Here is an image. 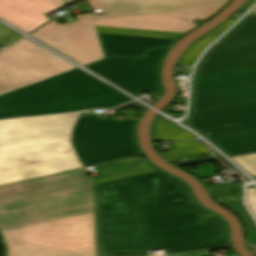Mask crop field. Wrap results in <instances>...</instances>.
<instances>
[{
	"mask_svg": "<svg viewBox=\"0 0 256 256\" xmlns=\"http://www.w3.org/2000/svg\"><path fill=\"white\" fill-rule=\"evenodd\" d=\"M191 98L185 125L229 157L256 153V15H246L207 50Z\"/></svg>",
	"mask_w": 256,
	"mask_h": 256,
	"instance_id": "crop-field-2",
	"label": "crop field"
},
{
	"mask_svg": "<svg viewBox=\"0 0 256 256\" xmlns=\"http://www.w3.org/2000/svg\"><path fill=\"white\" fill-rule=\"evenodd\" d=\"M99 256H145L223 246L222 221L190 198L180 181L158 171L95 185Z\"/></svg>",
	"mask_w": 256,
	"mask_h": 256,
	"instance_id": "crop-field-1",
	"label": "crop field"
},
{
	"mask_svg": "<svg viewBox=\"0 0 256 256\" xmlns=\"http://www.w3.org/2000/svg\"><path fill=\"white\" fill-rule=\"evenodd\" d=\"M190 132L178 127L170 121H155L153 126V141L170 139L178 141L195 138Z\"/></svg>",
	"mask_w": 256,
	"mask_h": 256,
	"instance_id": "crop-field-13",
	"label": "crop field"
},
{
	"mask_svg": "<svg viewBox=\"0 0 256 256\" xmlns=\"http://www.w3.org/2000/svg\"><path fill=\"white\" fill-rule=\"evenodd\" d=\"M65 1H66L67 4H69V3H71V2H73L75 0H65Z\"/></svg>",
	"mask_w": 256,
	"mask_h": 256,
	"instance_id": "crop-field-26",
	"label": "crop field"
},
{
	"mask_svg": "<svg viewBox=\"0 0 256 256\" xmlns=\"http://www.w3.org/2000/svg\"><path fill=\"white\" fill-rule=\"evenodd\" d=\"M83 168L0 186V204L91 185Z\"/></svg>",
	"mask_w": 256,
	"mask_h": 256,
	"instance_id": "crop-field-10",
	"label": "crop field"
},
{
	"mask_svg": "<svg viewBox=\"0 0 256 256\" xmlns=\"http://www.w3.org/2000/svg\"><path fill=\"white\" fill-rule=\"evenodd\" d=\"M252 176H256V154L231 158Z\"/></svg>",
	"mask_w": 256,
	"mask_h": 256,
	"instance_id": "crop-field-19",
	"label": "crop field"
},
{
	"mask_svg": "<svg viewBox=\"0 0 256 256\" xmlns=\"http://www.w3.org/2000/svg\"><path fill=\"white\" fill-rule=\"evenodd\" d=\"M158 170L159 169H157L152 164L147 163V164L140 165L136 168H131V169L125 171L123 174L113 175V176H109L107 178H102V179H95L94 180V185L98 184V183H103V182H108V181H112V180L127 178V177H131V176H136V175H140V174H145V173H149V172L158 171Z\"/></svg>",
	"mask_w": 256,
	"mask_h": 256,
	"instance_id": "crop-field-16",
	"label": "crop field"
},
{
	"mask_svg": "<svg viewBox=\"0 0 256 256\" xmlns=\"http://www.w3.org/2000/svg\"><path fill=\"white\" fill-rule=\"evenodd\" d=\"M248 205L256 217V191L247 192Z\"/></svg>",
	"mask_w": 256,
	"mask_h": 256,
	"instance_id": "crop-field-22",
	"label": "crop field"
},
{
	"mask_svg": "<svg viewBox=\"0 0 256 256\" xmlns=\"http://www.w3.org/2000/svg\"><path fill=\"white\" fill-rule=\"evenodd\" d=\"M76 68L23 38L0 52V95Z\"/></svg>",
	"mask_w": 256,
	"mask_h": 256,
	"instance_id": "crop-field-8",
	"label": "crop field"
},
{
	"mask_svg": "<svg viewBox=\"0 0 256 256\" xmlns=\"http://www.w3.org/2000/svg\"><path fill=\"white\" fill-rule=\"evenodd\" d=\"M209 190L211 189H223V188H232L231 184H224V185H212L208 186Z\"/></svg>",
	"mask_w": 256,
	"mask_h": 256,
	"instance_id": "crop-field-23",
	"label": "crop field"
},
{
	"mask_svg": "<svg viewBox=\"0 0 256 256\" xmlns=\"http://www.w3.org/2000/svg\"><path fill=\"white\" fill-rule=\"evenodd\" d=\"M104 55L141 57L148 49L171 46L176 40L97 33Z\"/></svg>",
	"mask_w": 256,
	"mask_h": 256,
	"instance_id": "crop-field-12",
	"label": "crop field"
},
{
	"mask_svg": "<svg viewBox=\"0 0 256 256\" xmlns=\"http://www.w3.org/2000/svg\"><path fill=\"white\" fill-rule=\"evenodd\" d=\"M21 38V35L0 24V47L9 45Z\"/></svg>",
	"mask_w": 256,
	"mask_h": 256,
	"instance_id": "crop-field-20",
	"label": "crop field"
},
{
	"mask_svg": "<svg viewBox=\"0 0 256 256\" xmlns=\"http://www.w3.org/2000/svg\"><path fill=\"white\" fill-rule=\"evenodd\" d=\"M168 49L150 50L141 59L107 57L87 68L136 96L142 91H162L158 69Z\"/></svg>",
	"mask_w": 256,
	"mask_h": 256,
	"instance_id": "crop-field-9",
	"label": "crop field"
},
{
	"mask_svg": "<svg viewBox=\"0 0 256 256\" xmlns=\"http://www.w3.org/2000/svg\"><path fill=\"white\" fill-rule=\"evenodd\" d=\"M236 20L230 19L215 30L211 31L207 35L203 36V38H206L208 40L213 41L215 38H217L223 31H225L232 23H234Z\"/></svg>",
	"mask_w": 256,
	"mask_h": 256,
	"instance_id": "crop-field-21",
	"label": "crop field"
},
{
	"mask_svg": "<svg viewBox=\"0 0 256 256\" xmlns=\"http://www.w3.org/2000/svg\"><path fill=\"white\" fill-rule=\"evenodd\" d=\"M255 2H256V0H249L247 5L240 11L246 12Z\"/></svg>",
	"mask_w": 256,
	"mask_h": 256,
	"instance_id": "crop-field-24",
	"label": "crop field"
},
{
	"mask_svg": "<svg viewBox=\"0 0 256 256\" xmlns=\"http://www.w3.org/2000/svg\"><path fill=\"white\" fill-rule=\"evenodd\" d=\"M251 12H254V13H256V7L251 11Z\"/></svg>",
	"mask_w": 256,
	"mask_h": 256,
	"instance_id": "crop-field-28",
	"label": "crop field"
},
{
	"mask_svg": "<svg viewBox=\"0 0 256 256\" xmlns=\"http://www.w3.org/2000/svg\"><path fill=\"white\" fill-rule=\"evenodd\" d=\"M132 98L76 68L0 96V119L113 108Z\"/></svg>",
	"mask_w": 256,
	"mask_h": 256,
	"instance_id": "crop-field-6",
	"label": "crop field"
},
{
	"mask_svg": "<svg viewBox=\"0 0 256 256\" xmlns=\"http://www.w3.org/2000/svg\"><path fill=\"white\" fill-rule=\"evenodd\" d=\"M136 121L79 116L72 145L84 166L139 155L134 137Z\"/></svg>",
	"mask_w": 256,
	"mask_h": 256,
	"instance_id": "crop-field-7",
	"label": "crop field"
},
{
	"mask_svg": "<svg viewBox=\"0 0 256 256\" xmlns=\"http://www.w3.org/2000/svg\"><path fill=\"white\" fill-rule=\"evenodd\" d=\"M76 115L0 121V185L80 168L69 145Z\"/></svg>",
	"mask_w": 256,
	"mask_h": 256,
	"instance_id": "crop-field-5",
	"label": "crop field"
},
{
	"mask_svg": "<svg viewBox=\"0 0 256 256\" xmlns=\"http://www.w3.org/2000/svg\"><path fill=\"white\" fill-rule=\"evenodd\" d=\"M65 5L64 0H0V19L28 33L48 20L43 14Z\"/></svg>",
	"mask_w": 256,
	"mask_h": 256,
	"instance_id": "crop-field-11",
	"label": "crop field"
},
{
	"mask_svg": "<svg viewBox=\"0 0 256 256\" xmlns=\"http://www.w3.org/2000/svg\"><path fill=\"white\" fill-rule=\"evenodd\" d=\"M133 165H135V163H133L132 161H121V162H113V163H108L103 165H97L96 167L98 168L101 176L104 177L112 174L122 173L127 168Z\"/></svg>",
	"mask_w": 256,
	"mask_h": 256,
	"instance_id": "crop-field-18",
	"label": "crop field"
},
{
	"mask_svg": "<svg viewBox=\"0 0 256 256\" xmlns=\"http://www.w3.org/2000/svg\"><path fill=\"white\" fill-rule=\"evenodd\" d=\"M252 190H256V188L248 189L247 191H252Z\"/></svg>",
	"mask_w": 256,
	"mask_h": 256,
	"instance_id": "crop-field-27",
	"label": "crop field"
},
{
	"mask_svg": "<svg viewBox=\"0 0 256 256\" xmlns=\"http://www.w3.org/2000/svg\"><path fill=\"white\" fill-rule=\"evenodd\" d=\"M211 41L206 39H199L195 43H193L185 52L183 58L180 60L178 65H193L196 57L200 54V52L208 45Z\"/></svg>",
	"mask_w": 256,
	"mask_h": 256,
	"instance_id": "crop-field-17",
	"label": "crop field"
},
{
	"mask_svg": "<svg viewBox=\"0 0 256 256\" xmlns=\"http://www.w3.org/2000/svg\"><path fill=\"white\" fill-rule=\"evenodd\" d=\"M4 256H96L91 186L0 205Z\"/></svg>",
	"mask_w": 256,
	"mask_h": 256,
	"instance_id": "crop-field-4",
	"label": "crop field"
},
{
	"mask_svg": "<svg viewBox=\"0 0 256 256\" xmlns=\"http://www.w3.org/2000/svg\"><path fill=\"white\" fill-rule=\"evenodd\" d=\"M173 145L175 150L161 153L168 160L209 153L204 146L195 141L176 143Z\"/></svg>",
	"mask_w": 256,
	"mask_h": 256,
	"instance_id": "crop-field-14",
	"label": "crop field"
},
{
	"mask_svg": "<svg viewBox=\"0 0 256 256\" xmlns=\"http://www.w3.org/2000/svg\"><path fill=\"white\" fill-rule=\"evenodd\" d=\"M233 212L237 213L243 220L246 229L247 243L256 242V224L249 216L242 200L221 203Z\"/></svg>",
	"mask_w": 256,
	"mask_h": 256,
	"instance_id": "crop-field-15",
	"label": "crop field"
},
{
	"mask_svg": "<svg viewBox=\"0 0 256 256\" xmlns=\"http://www.w3.org/2000/svg\"><path fill=\"white\" fill-rule=\"evenodd\" d=\"M104 15H82L77 22L53 20L31 36L84 65L104 58L96 32L177 39L206 21L229 0H87ZM186 20V21H182Z\"/></svg>",
	"mask_w": 256,
	"mask_h": 256,
	"instance_id": "crop-field-3",
	"label": "crop field"
},
{
	"mask_svg": "<svg viewBox=\"0 0 256 256\" xmlns=\"http://www.w3.org/2000/svg\"><path fill=\"white\" fill-rule=\"evenodd\" d=\"M171 256H189L188 253H184V254H177V255H171Z\"/></svg>",
	"mask_w": 256,
	"mask_h": 256,
	"instance_id": "crop-field-25",
	"label": "crop field"
}]
</instances>
